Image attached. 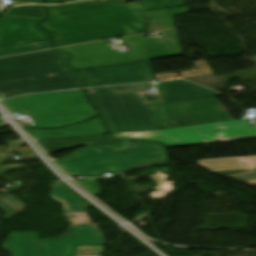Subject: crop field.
I'll use <instances>...</instances> for the list:
<instances>
[{"label":"crop field","instance_id":"obj_29","mask_svg":"<svg viewBox=\"0 0 256 256\" xmlns=\"http://www.w3.org/2000/svg\"><path fill=\"white\" fill-rule=\"evenodd\" d=\"M2 123V121L0 120V124Z\"/></svg>","mask_w":256,"mask_h":256},{"label":"crop field","instance_id":"obj_21","mask_svg":"<svg viewBox=\"0 0 256 256\" xmlns=\"http://www.w3.org/2000/svg\"><path fill=\"white\" fill-rule=\"evenodd\" d=\"M50 48H52L50 41L16 46V47H10V48H5V49H0V57L14 55V54H20V53H26V52H32V51H38V50H44V49H50Z\"/></svg>","mask_w":256,"mask_h":256},{"label":"crop field","instance_id":"obj_8","mask_svg":"<svg viewBox=\"0 0 256 256\" xmlns=\"http://www.w3.org/2000/svg\"><path fill=\"white\" fill-rule=\"evenodd\" d=\"M165 129L232 120L216 98L160 105Z\"/></svg>","mask_w":256,"mask_h":256},{"label":"crop field","instance_id":"obj_15","mask_svg":"<svg viewBox=\"0 0 256 256\" xmlns=\"http://www.w3.org/2000/svg\"><path fill=\"white\" fill-rule=\"evenodd\" d=\"M3 248L12 256H37L39 250L37 232H11Z\"/></svg>","mask_w":256,"mask_h":256},{"label":"crop field","instance_id":"obj_19","mask_svg":"<svg viewBox=\"0 0 256 256\" xmlns=\"http://www.w3.org/2000/svg\"><path fill=\"white\" fill-rule=\"evenodd\" d=\"M8 147H0V165L4 162L10 160L14 155L12 153H20L21 159L20 160H13V161H27V160H35L37 157L34 153H27L22 154L19 147L22 146L21 142H12L7 143Z\"/></svg>","mask_w":256,"mask_h":256},{"label":"crop field","instance_id":"obj_6","mask_svg":"<svg viewBox=\"0 0 256 256\" xmlns=\"http://www.w3.org/2000/svg\"><path fill=\"white\" fill-rule=\"evenodd\" d=\"M1 102L10 112L27 110L35 116L36 127L59 128L97 116L82 90L26 95Z\"/></svg>","mask_w":256,"mask_h":256},{"label":"crop field","instance_id":"obj_5","mask_svg":"<svg viewBox=\"0 0 256 256\" xmlns=\"http://www.w3.org/2000/svg\"><path fill=\"white\" fill-rule=\"evenodd\" d=\"M162 38L145 39L144 34L123 38L133 51L111 53L104 41L60 49L73 55L76 70L154 60L181 54L176 30L159 32Z\"/></svg>","mask_w":256,"mask_h":256},{"label":"crop field","instance_id":"obj_13","mask_svg":"<svg viewBox=\"0 0 256 256\" xmlns=\"http://www.w3.org/2000/svg\"><path fill=\"white\" fill-rule=\"evenodd\" d=\"M157 89L160 92V104L218 97L222 95L186 81L160 83Z\"/></svg>","mask_w":256,"mask_h":256},{"label":"crop field","instance_id":"obj_22","mask_svg":"<svg viewBox=\"0 0 256 256\" xmlns=\"http://www.w3.org/2000/svg\"><path fill=\"white\" fill-rule=\"evenodd\" d=\"M0 201L17 213L24 211V208H23L24 204L21 203L13 195H10V196L0 195Z\"/></svg>","mask_w":256,"mask_h":256},{"label":"crop field","instance_id":"obj_23","mask_svg":"<svg viewBox=\"0 0 256 256\" xmlns=\"http://www.w3.org/2000/svg\"><path fill=\"white\" fill-rule=\"evenodd\" d=\"M103 246H83L78 247L76 256H101Z\"/></svg>","mask_w":256,"mask_h":256},{"label":"crop field","instance_id":"obj_11","mask_svg":"<svg viewBox=\"0 0 256 256\" xmlns=\"http://www.w3.org/2000/svg\"><path fill=\"white\" fill-rule=\"evenodd\" d=\"M45 19L0 18V48L48 40V35L38 28Z\"/></svg>","mask_w":256,"mask_h":256},{"label":"crop field","instance_id":"obj_1","mask_svg":"<svg viewBox=\"0 0 256 256\" xmlns=\"http://www.w3.org/2000/svg\"><path fill=\"white\" fill-rule=\"evenodd\" d=\"M185 6L184 0H141L137 4H98L89 0L48 7L52 16L43 27L54 35L57 47L143 32L142 11Z\"/></svg>","mask_w":256,"mask_h":256},{"label":"crop field","instance_id":"obj_10","mask_svg":"<svg viewBox=\"0 0 256 256\" xmlns=\"http://www.w3.org/2000/svg\"><path fill=\"white\" fill-rule=\"evenodd\" d=\"M88 87L153 80L149 61L80 72Z\"/></svg>","mask_w":256,"mask_h":256},{"label":"crop field","instance_id":"obj_17","mask_svg":"<svg viewBox=\"0 0 256 256\" xmlns=\"http://www.w3.org/2000/svg\"><path fill=\"white\" fill-rule=\"evenodd\" d=\"M41 141H43V142H41ZM110 142H115V141L109 135H106V136L96 135V136L38 140V143H40L45 150H46V148H48V150H46L48 153L54 152L57 150H62V149L79 146V145L88 146V145H93V144L110 143Z\"/></svg>","mask_w":256,"mask_h":256},{"label":"crop field","instance_id":"obj_25","mask_svg":"<svg viewBox=\"0 0 256 256\" xmlns=\"http://www.w3.org/2000/svg\"><path fill=\"white\" fill-rule=\"evenodd\" d=\"M26 168L25 165H16V166H3L0 167V174H5L6 172L12 171L13 169Z\"/></svg>","mask_w":256,"mask_h":256},{"label":"crop field","instance_id":"obj_12","mask_svg":"<svg viewBox=\"0 0 256 256\" xmlns=\"http://www.w3.org/2000/svg\"><path fill=\"white\" fill-rule=\"evenodd\" d=\"M198 163L202 168L216 175L256 184V158L202 161Z\"/></svg>","mask_w":256,"mask_h":256},{"label":"crop field","instance_id":"obj_26","mask_svg":"<svg viewBox=\"0 0 256 256\" xmlns=\"http://www.w3.org/2000/svg\"><path fill=\"white\" fill-rule=\"evenodd\" d=\"M0 207L7 213L6 214V217H5V220H9L11 219L12 217H14L15 213L11 212L10 210H8L5 206H3L1 203H0Z\"/></svg>","mask_w":256,"mask_h":256},{"label":"crop field","instance_id":"obj_18","mask_svg":"<svg viewBox=\"0 0 256 256\" xmlns=\"http://www.w3.org/2000/svg\"><path fill=\"white\" fill-rule=\"evenodd\" d=\"M146 19H149L146 31H157L175 27L173 15L189 13L188 8L158 10L143 12Z\"/></svg>","mask_w":256,"mask_h":256},{"label":"crop field","instance_id":"obj_16","mask_svg":"<svg viewBox=\"0 0 256 256\" xmlns=\"http://www.w3.org/2000/svg\"><path fill=\"white\" fill-rule=\"evenodd\" d=\"M51 197L64 204V215L68 217L86 215L85 210L89 204L84 202L61 182L52 185Z\"/></svg>","mask_w":256,"mask_h":256},{"label":"crop field","instance_id":"obj_2","mask_svg":"<svg viewBox=\"0 0 256 256\" xmlns=\"http://www.w3.org/2000/svg\"><path fill=\"white\" fill-rule=\"evenodd\" d=\"M68 58L55 50L1 58L0 97L83 88Z\"/></svg>","mask_w":256,"mask_h":256},{"label":"crop field","instance_id":"obj_4","mask_svg":"<svg viewBox=\"0 0 256 256\" xmlns=\"http://www.w3.org/2000/svg\"><path fill=\"white\" fill-rule=\"evenodd\" d=\"M152 83L86 90L112 133L164 129L159 103L148 102L142 91Z\"/></svg>","mask_w":256,"mask_h":256},{"label":"crop field","instance_id":"obj_27","mask_svg":"<svg viewBox=\"0 0 256 256\" xmlns=\"http://www.w3.org/2000/svg\"><path fill=\"white\" fill-rule=\"evenodd\" d=\"M42 0H16V2L14 3V5L17 4H25V3H34V4H39L41 3Z\"/></svg>","mask_w":256,"mask_h":256},{"label":"crop field","instance_id":"obj_9","mask_svg":"<svg viewBox=\"0 0 256 256\" xmlns=\"http://www.w3.org/2000/svg\"><path fill=\"white\" fill-rule=\"evenodd\" d=\"M77 224L57 239L41 242L40 256H74L76 245H104L103 236L97 224L88 220H76Z\"/></svg>","mask_w":256,"mask_h":256},{"label":"crop field","instance_id":"obj_3","mask_svg":"<svg viewBox=\"0 0 256 256\" xmlns=\"http://www.w3.org/2000/svg\"><path fill=\"white\" fill-rule=\"evenodd\" d=\"M72 177L119 174L149 162L170 163L166 147L147 142L123 140L118 144L76 150L55 160Z\"/></svg>","mask_w":256,"mask_h":256},{"label":"crop field","instance_id":"obj_28","mask_svg":"<svg viewBox=\"0 0 256 256\" xmlns=\"http://www.w3.org/2000/svg\"><path fill=\"white\" fill-rule=\"evenodd\" d=\"M71 1H76V0H47V3H66Z\"/></svg>","mask_w":256,"mask_h":256},{"label":"crop field","instance_id":"obj_14","mask_svg":"<svg viewBox=\"0 0 256 256\" xmlns=\"http://www.w3.org/2000/svg\"><path fill=\"white\" fill-rule=\"evenodd\" d=\"M106 130L100 118H96L91 120L90 122L72 126L62 130L28 129V133L31 134L36 139H46V138L108 134Z\"/></svg>","mask_w":256,"mask_h":256},{"label":"crop field","instance_id":"obj_7","mask_svg":"<svg viewBox=\"0 0 256 256\" xmlns=\"http://www.w3.org/2000/svg\"><path fill=\"white\" fill-rule=\"evenodd\" d=\"M116 138L146 139L172 147L256 138V126L248 127L244 120L219 122L169 130L113 134Z\"/></svg>","mask_w":256,"mask_h":256},{"label":"crop field","instance_id":"obj_24","mask_svg":"<svg viewBox=\"0 0 256 256\" xmlns=\"http://www.w3.org/2000/svg\"><path fill=\"white\" fill-rule=\"evenodd\" d=\"M79 184L82 185L86 190H88L93 195L99 192L96 180H89V181H85V182H80Z\"/></svg>","mask_w":256,"mask_h":256},{"label":"crop field","instance_id":"obj_20","mask_svg":"<svg viewBox=\"0 0 256 256\" xmlns=\"http://www.w3.org/2000/svg\"><path fill=\"white\" fill-rule=\"evenodd\" d=\"M3 16L46 18L45 11L43 7L40 6L11 8L8 9Z\"/></svg>","mask_w":256,"mask_h":256}]
</instances>
